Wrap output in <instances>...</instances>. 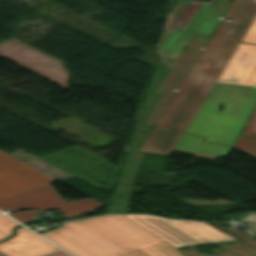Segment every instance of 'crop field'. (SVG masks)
Masks as SVG:
<instances>
[{
  "instance_id": "obj_1",
  "label": "crop field",
  "mask_w": 256,
  "mask_h": 256,
  "mask_svg": "<svg viewBox=\"0 0 256 256\" xmlns=\"http://www.w3.org/2000/svg\"><path fill=\"white\" fill-rule=\"evenodd\" d=\"M255 16L256 0L233 2L145 145L174 148ZM226 17L232 18L229 24L223 23Z\"/></svg>"
},
{
  "instance_id": "obj_2",
  "label": "crop field",
  "mask_w": 256,
  "mask_h": 256,
  "mask_svg": "<svg viewBox=\"0 0 256 256\" xmlns=\"http://www.w3.org/2000/svg\"><path fill=\"white\" fill-rule=\"evenodd\" d=\"M254 85L256 45L239 43L185 132L232 145L256 104Z\"/></svg>"
},
{
  "instance_id": "obj_3",
  "label": "crop field",
  "mask_w": 256,
  "mask_h": 256,
  "mask_svg": "<svg viewBox=\"0 0 256 256\" xmlns=\"http://www.w3.org/2000/svg\"><path fill=\"white\" fill-rule=\"evenodd\" d=\"M61 225L41 234L75 256H118L136 249L148 256H188L122 215Z\"/></svg>"
},
{
  "instance_id": "obj_4",
  "label": "crop field",
  "mask_w": 256,
  "mask_h": 256,
  "mask_svg": "<svg viewBox=\"0 0 256 256\" xmlns=\"http://www.w3.org/2000/svg\"><path fill=\"white\" fill-rule=\"evenodd\" d=\"M102 206L104 205L91 198L65 203L50 184L0 200L2 211L25 208L40 211L59 209L64 217L78 216Z\"/></svg>"
},
{
  "instance_id": "obj_5",
  "label": "crop field",
  "mask_w": 256,
  "mask_h": 256,
  "mask_svg": "<svg viewBox=\"0 0 256 256\" xmlns=\"http://www.w3.org/2000/svg\"><path fill=\"white\" fill-rule=\"evenodd\" d=\"M208 40L209 37L193 35L186 46L187 50L180 54L170 71L155 89L153 94L160 95V97L142 125L155 126Z\"/></svg>"
},
{
  "instance_id": "obj_6",
  "label": "crop field",
  "mask_w": 256,
  "mask_h": 256,
  "mask_svg": "<svg viewBox=\"0 0 256 256\" xmlns=\"http://www.w3.org/2000/svg\"><path fill=\"white\" fill-rule=\"evenodd\" d=\"M54 181L57 180L0 151V198Z\"/></svg>"
},
{
  "instance_id": "obj_7",
  "label": "crop field",
  "mask_w": 256,
  "mask_h": 256,
  "mask_svg": "<svg viewBox=\"0 0 256 256\" xmlns=\"http://www.w3.org/2000/svg\"><path fill=\"white\" fill-rule=\"evenodd\" d=\"M189 246L237 240L206 224L138 215Z\"/></svg>"
},
{
  "instance_id": "obj_8",
  "label": "crop field",
  "mask_w": 256,
  "mask_h": 256,
  "mask_svg": "<svg viewBox=\"0 0 256 256\" xmlns=\"http://www.w3.org/2000/svg\"><path fill=\"white\" fill-rule=\"evenodd\" d=\"M57 247L19 227L16 235L0 243V251L7 256H38L53 251Z\"/></svg>"
},
{
  "instance_id": "obj_9",
  "label": "crop field",
  "mask_w": 256,
  "mask_h": 256,
  "mask_svg": "<svg viewBox=\"0 0 256 256\" xmlns=\"http://www.w3.org/2000/svg\"><path fill=\"white\" fill-rule=\"evenodd\" d=\"M203 138L183 134L173 151L213 159L231 149L230 146L203 142Z\"/></svg>"
},
{
  "instance_id": "obj_10",
  "label": "crop field",
  "mask_w": 256,
  "mask_h": 256,
  "mask_svg": "<svg viewBox=\"0 0 256 256\" xmlns=\"http://www.w3.org/2000/svg\"><path fill=\"white\" fill-rule=\"evenodd\" d=\"M210 8L202 3L182 33L166 30L160 48L181 52Z\"/></svg>"
},
{
  "instance_id": "obj_11",
  "label": "crop field",
  "mask_w": 256,
  "mask_h": 256,
  "mask_svg": "<svg viewBox=\"0 0 256 256\" xmlns=\"http://www.w3.org/2000/svg\"><path fill=\"white\" fill-rule=\"evenodd\" d=\"M231 4V1L217 0L195 31V34L211 37L210 34L214 30L215 26L220 22Z\"/></svg>"
},
{
  "instance_id": "obj_12",
  "label": "crop field",
  "mask_w": 256,
  "mask_h": 256,
  "mask_svg": "<svg viewBox=\"0 0 256 256\" xmlns=\"http://www.w3.org/2000/svg\"><path fill=\"white\" fill-rule=\"evenodd\" d=\"M124 216L136 222L140 226L144 227L145 229L149 230L150 232L154 233L155 235L159 236L160 238L164 239L165 241H167L168 243L172 244L177 248L187 246L184 243L173 238L172 236L168 235L167 233L163 232L162 230L158 229L157 227L153 226L152 224L146 222L145 220L141 219L136 215H124Z\"/></svg>"
},
{
  "instance_id": "obj_13",
  "label": "crop field",
  "mask_w": 256,
  "mask_h": 256,
  "mask_svg": "<svg viewBox=\"0 0 256 256\" xmlns=\"http://www.w3.org/2000/svg\"><path fill=\"white\" fill-rule=\"evenodd\" d=\"M234 148L256 158V140L255 139L241 136L239 137Z\"/></svg>"
},
{
  "instance_id": "obj_14",
  "label": "crop field",
  "mask_w": 256,
  "mask_h": 256,
  "mask_svg": "<svg viewBox=\"0 0 256 256\" xmlns=\"http://www.w3.org/2000/svg\"><path fill=\"white\" fill-rule=\"evenodd\" d=\"M14 225L17 223L0 214V240L4 239L6 235L12 234L11 230Z\"/></svg>"
},
{
  "instance_id": "obj_15",
  "label": "crop field",
  "mask_w": 256,
  "mask_h": 256,
  "mask_svg": "<svg viewBox=\"0 0 256 256\" xmlns=\"http://www.w3.org/2000/svg\"><path fill=\"white\" fill-rule=\"evenodd\" d=\"M38 214V212L34 211H19L15 213H10L11 217L15 218L16 220L25 223L34 220L35 216Z\"/></svg>"
},
{
  "instance_id": "obj_16",
  "label": "crop field",
  "mask_w": 256,
  "mask_h": 256,
  "mask_svg": "<svg viewBox=\"0 0 256 256\" xmlns=\"http://www.w3.org/2000/svg\"><path fill=\"white\" fill-rule=\"evenodd\" d=\"M242 134L256 137V109L254 110V112H253L247 126L243 130Z\"/></svg>"
},
{
  "instance_id": "obj_17",
  "label": "crop field",
  "mask_w": 256,
  "mask_h": 256,
  "mask_svg": "<svg viewBox=\"0 0 256 256\" xmlns=\"http://www.w3.org/2000/svg\"><path fill=\"white\" fill-rule=\"evenodd\" d=\"M242 41L256 43V18L253 21L252 25L248 29L247 33L243 37Z\"/></svg>"
},
{
  "instance_id": "obj_18",
  "label": "crop field",
  "mask_w": 256,
  "mask_h": 256,
  "mask_svg": "<svg viewBox=\"0 0 256 256\" xmlns=\"http://www.w3.org/2000/svg\"><path fill=\"white\" fill-rule=\"evenodd\" d=\"M140 150L147 153L165 154V155H170L171 153L170 150H165V149H160V148H155V147H150L145 145H142Z\"/></svg>"
},
{
  "instance_id": "obj_19",
  "label": "crop field",
  "mask_w": 256,
  "mask_h": 256,
  "mask_svg": "<svg viewBox=\"0 0 256 256\" xmlns=\"http://www.w3.org/2000/svg\"><path fill=\"white\" fill-rule=\"evenodd\" d=\"M244 222H246L248 226L256 232V216L245 220Z\"/></svg>"
},
{
  "instance_id": "obj_20",
  "label": "crop field",
  "mask_w": 256,
  "mask_h": 256,
  "mask_svg": "<svg viewBox=\"0 0 256 256\" xmlns=\"http://www.w3.org/2000/svg\"><path fill=\"white\" fill-rule=\"evenodd\" d=\"M121 256H147V255H145L142 252L136 250V251H133V252L121 255Z\"/></svg>"
},
{
  "instance_id": "obj_21",
  "label": "crop field",
  "mask_w": 256,
  "mask_h": 256,
  "mask_svg": "<svg viewBox=\"0 0 256 256\" xmlns=\"http://www.w3.org/2000/svg\"><path fill=\"white\" fill-rule=\"evenodd\" d=\"M44 256H69V255L66 254L65 252L59 250V251H56V252H53V253H50V254H47Z\"/></svg>"
},
{
  "instance_id": "obj_22",
  "label": "crop field",
  "mask_w": 256,
  "mask_h": 256,
  "mask_svg": "<svg viewBox=\"0 0 256 256\" xmlns=\"http://www.w3.org/2000/svg\"><path fill=\"white\" fill-rule=\"evenodd\" d=\"M254 215H256V212L245 213V214H243L242 216H240L239 218H240V219H246V218H249V217L254 216Z\"/></svg>"
},
{
  "instance_id": "obj_23",
  "label": "crop field",
  "mask_w": 256,
  "mask_h": 256,
  "mask_svg": "<svg viewBox=\"0 0 256 256\" xmlns=\"http://www.w3.org/2000/svg\"><path fill=\"white\" fill-rule=\"evenodd\" d=\"M0 256H6V255H4V254L0 253Z\"/></svg>"
}]
</instances>
